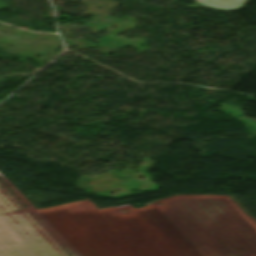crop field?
<instances>
[{"label":"crop field","instance_id":"crop-field-1","mask_svg":"<svg viewBox=\"0 0 256 256\" xmlns=\"http://www.w3.org/2000/svg\"><path fill=\"white\" fill-rule=\"evenodd\" d=\"M0 256H66L1 188Z\"/></svg>","mask_w":256,"mask_h":256},{"label":"crop field","instance_id":"crop-field-2","mask_svg":"<svg viewBox=\"0 0 256 256\" xmlns=\"http://www.w3.org/2000/svg\"><path fill=\"white\" fill-rule=\"evenodd\" d=\"M201 5L218 10H235L243 4L249 2L247 0H196Z\"/></svg>","mask_w":256,"mask_h":256}]
</instances>
